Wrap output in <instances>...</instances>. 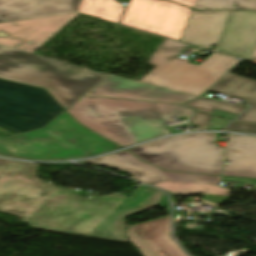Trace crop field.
Wrapping results in <instances>:
<instances>
[{"mask_svg":"<svg viewBox=\"0 0 256 256\" xmlns=\"http://www.w3.org/2000/svg\"><path fill=\"white\" fill-rule=\"evenodd\" d=\"M162 192L139 184L130 198L88 199L57 188L22 221L33 229L128 243L125 217L158 205Z\"/></svg>","mask_w":256,"mask_h":256,"instance_id":"crop-field-1","label":"crop field"},{"mask_svg":"<svg viewBox=\"0 0 256 256\" xmlns=\"http://www.w3.org/2000/svg\"><path fill=\"white\" fill-rule=\"evenodd\" d=\"M68 112L82 125L126 146L168 134L165 117L188 116L181 105L84 96Z\"/></svg>","mask_w":256,"mask_h":256,"instance_id":"crop-field-2","label":"crop field"},{"mask_svg":"<svg viewBox=\"0 0 256 256\" xmlns=\"http://www.w3.org/2000/svg\"><path fill=\"white\" fill-rule=\"evenodd\" d=\"M119 148L79 125L67 112L43 129L0 137V156L23 160H68Z\"/></svg>","mask_w":256,"mask_h":256,"instance_id":"crop-field-3","label":"crop field"},{"mask_svg":"<svg viewBox=\"0 0 256 256\" xmlns=\"http://www.w3.org/2000/svg\"><path fill=\"white\" fill-rule=\"evenodd\" d=\"M109 74L0 45V78L47 88L68 108Z\"/></svg>","mask_w":256,"mask_h":256,"instance_id":"crop-field-4","label":"crop field"},{"mask_svg":"<svg viewBox=\"0 0 256 256\" xmlns=\"http://www.w3.org/2000/svg\"><path fill=\"white\" fill-rule=\"evenodd\" d=\"M187 46L167 39L147 61L157 66L139 82L198 96L240 62L235 57L213 53L200 65L193 64L176 56Z\"/></svg>","mask_w":256,"mask_h":256,"instance_id":"crop-field-5","label":"crop field"},{"mask_svg":"<svg viewBox=\"0 0 256 256\" xmlns=\"http://www.w3.org/2000/svg\"><path fill=\"white\" fill-rule=\"evenodd\" d=\"M215 133L179 135L129 149L141 160L164 170L220 175L224 149Z\"/></svg>","mask_w":256,"mask_h":256,"instance_id":"crop-field-6","label":"crop field"},{"mask_svg":"<svg viewBox=\"0 0 256 256\" xmlns=\"http://www.w3.org/2000/svg\"><path fill=\"white\" fill-rule=\"evenodd\" d=\"M62 112L45 90L0 80V126L15 133L40 129Z\"/></svg>","mask_w":256,"mask_h":256,"instance_id":"crop-field-7","label":"crop field"},{"mask_svg":"<svg viewBox=\"0 0 256 256\" xmlns=\"http://www.w3.org/2000/svg\"><path fill=\"white\" fill-rule=\"evenodd\" d=\"M57 187L35 175V163L0 159V212L24 217Z\"/></svg>","mask_w":256,"mask_h":256,"instance_id":"crop-field-8","label":"crop field"},{"mask_svg":"<svg viewBox=\"0 0 256 256\" xmlns=\"http://www.w3.org/2000/svg\"><path fill=\"white\" fill-rule=\"evenodd\" d=\"M190 11L169 1L131 0L121 23L180 40Z\"/></svg>","mask_w":256,"mask_h":256,"instance_id":"crop-field-9","label":"crop field"},{"mask_svg":"<svg viewBox=\"0 0 256 256\" xmlns=\"http://www.w3.org/2000/svg\"><path fill=\"white\" fill-rule=\"evenodd\" d=\"M78 13L0 24V44L33 53Z\"/></svg>","mask_w":256,"mask_h":256,"instance_id":"crop-field-10","label":"crop field"},{"mask_svg":"<svg viewBox=\"0 0 256 256\" xmlns=\"http://www.w3.org/2000/svg\"><path fill=\"white\" fill-rule=\"evenodd\" d=\"M83 162L123 170L131 175H134L132 179L148 184L162 180H172L217 185L220 179V177L210 175L164 172L158 168L140 161L127 151L102 158L85 160Z\"/></svg>","mask_w":256,"mask_h":256,"instance_id":"crop-field-11","label":"crop field"},{"mask_svg":"<svg viewBox=\"0 0 256 256\" xmlns=\"http://www.w3.org/2000/svg\"><path fill=\"white\" fill-rule=\"evenodd\" d=\"M86 95L182 104L192 98L173 91L110 75Z\"/></svg>","mask_w":256,"mask_h":256,"instance_id":"crop-field-12","label":"crop field"},{"mask_svg":"<svg viewBox=\"0 0 256 256\" xmlns=\"http://www.w3.org/2000/svg\"><path fill=\"white\" fill-rule=\"evenodd\" d=\"M128 237L144 256H186L170 238L169 216L130 226Z\"/></svg>","mask_w":256,"mask_h":256,"instance_id":"crop-field-13","label":"crop field"},{"mask_svg":"<svg viewBox=\"0 0 256 256\" xmlns=\"http://www.w3.org/2000/svg\"><path fill=\"white\" fill-rule=\"evenodd\" d=\"M256 43V11L233 10L216 51L249 59Z\"/></svg>","mask_w":256,"mask_h":256,"instance_id":"crop-field-14","label":"crop field"},{"mask_svg":"<svg viewBox=\"0 0 256 256\" xmlns=\"http://www.w3.org/2000/svg\"><path fill=\"white\" fill-rule=\"evenodd\" d=\"M82 0H0V23L76 12Z\"/></svg>","mask_w":256,"mask_h":256,"instance_id":"crop-field-15","label":"crop field"},{"mask_svg":"<svg viewBox=\"0 0 256 256\" xmlns=\"http://www.w3.org/2000/svg\"><path fill=\"white\" fill-rule=\"evenodd\" d=\"M229 12L192 11L181 41L211 48L217 43Z\"/></svg>","mask_w":256,"mask_h":256,"instance_id":"crop-field-16","label":"crop field"},{"mask_svg":"<svg viewBox=\"0 0 256 256\" xmlns=\"http://www.w3.org/2000/svg\"><path fill=\"white\" fill-rule=\"evenodd\" d=\"M223 175L256 178V138L230 135Z\"/></svg>","mask_w":256,"mask_h":256,"instance_id":"crop-field-17","label":"crop field"},{"mask_svg":"<svg viewBox=\"0 0 256 256\" xmlns=\"http://www.w3.org/2000/svg\"><path fill=\"white\" fill-rule=\"evenodd\" d=\"M209 90L247 100L251 107L235 121L256 122V81L228 74Z\"/></svg>","mask_w":256,"mask_h":256,"instance_id":"crop-field-18","label":"crop field"},{"mask_svg":"<svg viewBox=\"0 0 256 256\" xmlns=\"http://www.w3.org/2000/svg\"><path fill=\"white\" fill-rule=\"evenodd\" d=\"M174 194L185 196L198 193H205L204 200L220 204L228 200L230 189L221 188L213 185L181 183L172 181H162L152 184Z\"/></svg>","mask_w":256,"mask_h":256,"instance_id":"crop-field-19","label":"crop field"},{"mask_svg":"<svg viewBox=\"0 0 256 256\" xmlns=\"http://www.w3.org/2000/svg\"><path fill=\"white\" fill-rule=\"evenodd\" d=\"M123 10L120 3L113 0H83L78 11L118 23Z\"/></svg>","mask_w":256,"mask_h":256,"instance_id":"crop-field-20","label":"crop field"},{"mask_svg":"<svg viewBox=\"0 0 256 256\" xmlns=\"http://www.w3.org/2000/svg\"><path fill=\"white\" fill-rule=\"evenodd\" d=\"M208 113H213L214 108L227 111L233 114L239 115L243 112L246 107L235 103L234 105L228 104V102H221L214 99L200 98L198 100H193L185 104Z\"/></svg>","mask_w":256,"mask_h":256,"instance_id":"crop-field-21","label":"crop field"},{"mask_svg":"<svg viewBox=\"0 0 256 256\" xmlns=\"http://www.w3.org/2000/svg\"><path fill=\"white\" fill-rule=\"evenodd\" d=\"M233 4H238L240 8H233ZM193 8L196 10L241 8L256 10V0H196Z\"/></svg>","mask_w":256,"mask_h":256,"instance_id":"crop-field-22","label":"crop field"},{"mask_svg":"<svg viewBox=\"0 0 256 256\" xmlns=\"http://www.w3.org/2000/svg\"><path fill=\"white\" fill-rule=\"evenodd\" d=\"M224 130L256 134V124L232 122Z\"/></svg>","mask_w":256,"mask_h":256,"instance_id":"crop-field-23","label":"crop field"},{"mask_svg":"<svg viewBox=\"0 0 256 256\" xmlns=\"http://www.w3.org/2000/svg\"><path fill=\"white\" fill-rule=\"evenodd\" d=\"M211 117H212L211 115L202 113V112L197 110L191 124L199 126L198 129H206L208 124H209V121H210Z\"/></svg>","mask_w":256,"mask_h":256,"instance_id":"crop-field-24","label":"crop field"},{"mask_svg":"<svg viewBox=\"0 0 256 256\" xmlns=\"http://www.w3.org/2000/svg\"><path fill=\"white\" fill-rule=\"evenodd\" d=\"M228 123H230V121L213 116L207 129H222Z\"/></svg>","mask_w":256,"mask_h":256,"instance_id":"crop-field-25","label":"crop field"},{"mask_svg":"<svg viewBox=\"0 0 256 256\" xmlns=\"http://www.w3.org/2000/svg\"><path fill=\"white\" fill-rule=\"evenodd\" d=\"M222 179L244 181V182H245V184L254 185V186H255V188H256V179H249V178H234V177H223Z\"/></svg>","mask_w":256,"mask_h":256,"instance_id":"crop-field-26","label":"crop field"},{"mask_svg":"<svg viewBox=\"0 0 256 256\" xmlns=\"http://www.w3.org/2000/svg\"><path fill=\"white\" fill-rule=\"evenodd\" d=\"M214 115H217V116H221V117H224V118H227V119H231L233 120L235 117H237V115H233V114H230V113H226V112H223V111H220V110H214Z\"/></svg>","mask_w":256,"mask_h":256,"instance_id":"crop-field-27","label":"crop field"},{"mask_svg":"<svg viewBox=\"0 0 256 256\" xmlns=\"http://www.w3.org/2000/svg\"><path fill=\"white\" fill-rule=\"evenodd\" d=\"M171 1L186 5L191 8L193 7V4L195 2V0H171Z\"/></svg>","mask_w":256,"mask_h":256,"instance_id":"crop-field-28","label":"crop field"},{"mask_svg":"<svg viewBox=\"0 0 256 256\" xmlns=\"http://www.w3.org/2000/svg\"><path fill=\"white\" fill-rule=\"evenodd\" d=\"M159 205H160V207H169L168 200H167L165 194H163L162 200Z\"/></svg>","mask_w":256,"mask_h":256,"instance_id":"crop-field-29","label":"crop field"},{"mask_svg":"<svg viewBox=\"0 0 256 256\" xmlns=\"http://www.w3.org/2000/svg\"><path fill=\"white\" fill-rule=\"evenodd\" d=\"M250 59H251V60L256 59V46H255V48H254V51H253L252 56H251Z\"/></svg>","mask_w":256,"mask_h":256,"instance_id":"crop-field-30","label":"crop field"},{"mask_svg":"<svg viewBox=\"0 0 256 256\" xmlns=\"http://www.w3.org/2000/svg\"><path fill=\"white\" fill-rule=\"evenodd\" d=\"M170 197H171V199H172V201L174 200V196H172L171 194H170Z\"/></svg>","mask_w":256,"mask_h":256,"instance_id":"crop-field-31","label":"crop field"}]
</instances>
